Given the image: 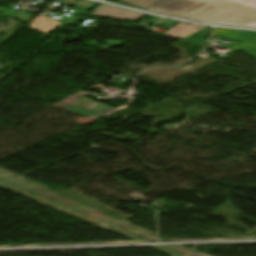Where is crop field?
<instances>
[{"mask_svg":"<svg viewBox=\"0 0 256 256\" xmlns=\"http://www.w3.org/2000/svg\"><path fill=\"white\" fill-rule=\"evenodd\" d=\"M188 19L256 28V0H221Z\"/></svg>","mask_w":256,"mask_h":256,"instance_id":"crop-field-1","label":"crop field"},{"mask_svg":"<svg viewBox=\"0 0 256 256\" xmlns=\"http://www.w3.org/2000/svg\"><path fill=\"white\" fill-rule=\"evenodd\" d=\"M214 1L216 0H161L147 10L184 18Z\"/></svg>","mask_w":256,"mask_h":256,"instance_id":"crop-field-2","label":"crop field"},{"mask_svg":"<svg viewBox=\"0 0 256 256\" xmlns=\"http://www.w3.org/2000/svg\"><path fill=\"white\" fill-rule=\"evenodd\" d=\"M213 36H223L241 41V43L231 49L239 51L245 50L247 53L256 58V32L234 31L215 28Z\"/></svg>","mask_w":256,"mask_h":256,"instance_id":"crop-field-3","label":"crop field"},{"mask_svg":"<svg viewBox=\"0 0 256 256\" xmlns=\"http://www.w3.org/2000/svg\"><path fill=\"white\" fill-rule=\"evenodd\" d=\"M92 16L120 19V20L130 19V20L137 21L140 18L144 17L145 14L102 5L94 11Z\"/></svg>","mask_w":256,"mask_h":256,"instance_id":"crop-field-4","label":"crop field"},{"mask_svg":"<svg viewBox=\"0 0 256 256\" xmlns=\"http://www.w3.org/2000/svg\"><path fill=\"white\" fill-rule=\"evenodd\" d=\"M205 26H200V25H188L183 22L177 24L173 28H171L169 31H167L164 36H169V37H175L182 39L184 37L189 36L190 34L204 28Z\"/></svg>","mask_w":256,"mask_h":256,"instance_id":"crop-field-5","label":"crop field"},{"mask_svg":"<svg viewBox=\"0 0 256 256\" xmlns=\"http://www.w3.org/2000/svg\"><path fill=\"white\" fill-rule=\"evenodd\" d=\"M211 27H207L199 32L194 33L192 36L183 40V42L204 46L207 36L209 34Z\"/></svg>","mask_w":256,"mask_h":256,"instance_id":"crop-field-6","label":"crop field"},{"mask_svg":"<svg viewBox=\"0 0 256 256\" xmlns=\"http://www.w3.org/2000/svg\"><path fill=\"white\" fill-rule=\"evenodd\" d=\"M66 4L74 6L76 8L85 9V10L91 9L96 5H98V3H94L86 0H73V2L67 1Z\"/></svg>","mask_w":256,"mask_h":256,"instance_id":"crop-field-7","label":"crop field"},{"mask_svg":"<svg viewBox=\"0 0 256 256\" xmlns=\"http://www.w3.org/2000/svg\"><path fill=\"white\" fill-rule=\"evenodd\" d=\"M123 1L146 9L149 6L153 5L154 3L158 2L159 0H123Z\"/></svg>","mask_w":256,"mask_h":256,"instance_id":"crop-field-8","label":"crop field"},{"mask_svg":"<svg viewBox=\"0 0 256 256\" xmlns=\"http://www.w3.org/2000/svg\"><path fill=\"white\" fill-rule=\"evenodd\" d=\"M84 12H85V11L80 10L77 15H79V14H81V13H84ZM77 15L74 16V17L68 18V19H63L64 21L62 22V25H68V24H70V23H73L74 20H75V18L77 17Z\"/></svg>","mask_w":256,"mask_h":256,"instance_id":"crop-field-9","label":"crop field"},{"mask_svg":"<svg viewBox=\"0 0 256 256\" xmlns=\"http://www.w3.org/2000/svg\"><path fill=\"white\" fill-rule=\"evenodd\" d=\"M191 256H207V255H204V254H202V253H197V254H193V255H191Z\"/></svg>","mask_w":256,"mask_h":256,"instance_id":"crop-field-10","label":"crop field"}]
</instances>
